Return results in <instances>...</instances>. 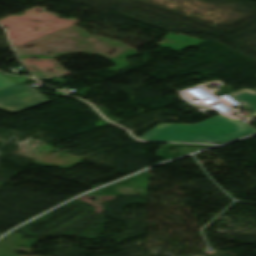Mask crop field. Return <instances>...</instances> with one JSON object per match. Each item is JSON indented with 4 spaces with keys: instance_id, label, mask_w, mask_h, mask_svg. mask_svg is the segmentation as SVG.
Here are the masks:
<instances>
[{
    "instance_id": "8a807250",
    "label": "crop field",
    "mask_w": 256,
    "mask_h": 256,
    "mask_svg": "<svg viewBox=\"0 0 256 256\" xmlns=\"http://www.w3.org/2000/svg\"><path fill=\"white\" fill-rule=\"evenodd\" d=\"M256 129L227 116H216L198 125L160 124L139 139L176 142H225Z\"/></svg>"
},
{
    "instance_id": "34b2d1b8",
    "label": "crop field",
    "mask_w": 256,
    "mask_h": 256,
    "mask_svg": "<svg viewBox=\"0 0 256 256\" xmlns=\"http://www.w3.org/2000/svg\"><path fill=\"white\" fill-rule=\"evenodd\" d=\"M233 98H235L240 103L244 104L249 109L255 111L250 114L248 119L256 117V92L245 89L242 91L232 93Z\"/></svg>"
},
{
    "instance_id": "412701ff",
    "label": "crop field",
    "mask_w": 256,
    "mask_h": 256,
    "mask_svg": "<svg viewBox=\"0 0 256 256\" xmlns=\"http://www.w3.org/2000/svg\"><path fill=\"white\" fill-rule=\"evenodd\" d=\"M11 85H16L6 77L0 74V88L5 87V86H11Z\"/></svg>"
},
{
    "instance_id": "ac0d7876",
    "label": "crop field",
    "mask_w": 256,
    "mask_h": 256,
    "mask_svg": "<svg viewBox=\"0 0 256 256\" xmlns=\"http://www.w3.org/2000/svg\"><path fill=\"white\" fill-rule=\"evenodd\" d=\"M49 102L30 85L0 90V110L15 113L42 103Z\"/></svg>"
}]
</instances>
